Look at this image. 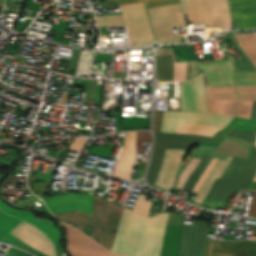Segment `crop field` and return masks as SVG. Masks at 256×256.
Listing matches in <instances>:
<instances>
[{
    "label": "crop field",
    "instance_id": "crop-field-39",
    "mask_svg": "<svg viewBox=\"0 0 256 256\" xmlns=\"http://www.w3.org/2000/svg\"><path fill=\"white\" fill-rule=\"evenodd\" d=\"M85 140L86 139L75 138V142L71 143L70 149L80 151L85 143Z\"/></svg>",
    "mask_w": 256,
    "mask_h": 256
},
{
    "label": "crop field",
    "instance_id": "crop-field-37",
    "mask_svg": "<svg viewBox=\"0 0 256 256\" xmlns=\"http://www.w3.org/2000/svg\"><path fill=\"white\" fill-rule=\"evenodd\" d=\"M96 80H88L85 99L93 100L95 97Z\"/></svg>",
    "mask_w": 256,
    "mask_h": 256
},
{
    "label": "crop field",
    "instance_id": "crop-field-1",
    "mask_svg": "<svg viewBox=\"0 0 256 256\" xmlns=\"http://www.w3.org/2000/svg\"><path fill=\"white\" fill-rule=\"evenodd\" d=\"M169 213L151 218L124 209L113 252L130 256H159Z\"/></svg>",
    "mask_w": 256,
    "mask_h": 256
},
{
    "label": "crop field",
    "instance_id": "crop-field-20",
    "mask_svg": "<svg viewBox=\"0 0 256 256\" xmlns=\"http://www.w3.org/2000/svg\"><path fill=\"white\" fill-rule=\"evenodd\" d=\"M181 90V111H197L199 110L198 100L196 96L194 81L180 82Z\"/></svg>",
    "mask_w": 256,
    "mask_h": 256
},
{
    "label": "crop field",
    "instance_id": "crop-field-24",
    "mask_svg": "<svg viewBox=\"0 0 256 256\" xmlns=\"http://www.w3.org/2000/svg\"><path fill=\"white\" fill-rule=\"evenodd\" d=\"M210 113L237 116L235 101L208 100Z\"/></svg>",
    "mask_w": 256,
    "mask_h": 256
},
{
    "label": "crop field",
    "instance_id": "crop-field-8",
    "mask_svg": "<svg viewBox=\"0 0 256 256\" xmlns=\"http://www.w3.org/2000/svg\"><path fill=\"white\" fill-rule=\"evenodd\" d=\"M247 162V160L234 157L214 192L212 191L211 197L209 196L210 198L206 203L207 206L223 207Z\"/></svg>",
    "mask_w": 256,
    "mask_h": 256
},
{
    "label": "crop field",
    "instance_id": "crop-field-2",
    "mask_svg": "<svg viewBox=\"0 0 256 256\" xmlns=\"http://www.w3.org/2000/svg\"><path fill=\"white\" fill-rule=\"evenodd\" d=\"M221 129L223 128L206 125H178L176 133H190L204 136H213L215 132ZM154 134L156 136V141L153 150L152 161L147 174V182L150 186H153L161 167L168 136V134L158 132H154ZM204 136L169 134L166 148L189 149L201 142L208 143L211 138ZM214 152L233 155L245 159L248 153L244 146L225 139H223L222 142L216 147Z\"/></svg>",
    "mask_w": 256,
    "mask_h": 256
},
{
    "label": "crop field",
    "instance_id": "crop-field-16",
    "mask_svg": "<svg viewBox=\"0 0 256 256\" xmlns=\"http://www.w3.org/2000/svg\"><path fill=\"white\" fill-rule=\"evenodd\" d=\"M201 70L206 75L208 85L234 84V70L230 59L203 64Z\"/></svg>",
    "mask_w": 256,
    "mask_h": 256
},
{
    "label": "crop field",
    "instance_id": "crop-field-43",
    "mask_svg": "<svg viewBox=\"0 0 256 256\" xmlns=\"http://www.w3.org/2000/svg\"><path fill=\"white\" fill-rule=\"evenodd\" d=\"M253 147H254V145L251 146V149H250V151H249V155H248V158H247V159H249L250 154H251V152H252V150H253Z\"/></svg>",
    "mask_w": 256,
    "mask_h": 256
},
{
    "label": "crop field",
    "instance_id": "crop-field-40",
    "mask_svg": "<svg viewBox=\"0 0 256 256\" xmlns=\"http://www.w3.org/2000/svg\"><path fill=\"white\" fill-rule=\"evenodd\" d=\"M249 216L255 217L256 216V191L254 194L251 210Z\"/></svg>",
    "mask_w": 256,
    "mask_h": 256
},
{
    "label": "crop field",
    "instance_id": "crop-field-3",
    "mask_svg": "<svg viewBox=\"0 0 256 256\" xmlns=\"http://www.w3.org/2000/svg\"><path fill=\"white\" fill-rule=\"evenodd\" d=\"M123 16L97 17L98 25L128 24L131 46L147 45L154 38L144 2L120 6Z\"/></svg>",
    "mask_w": 256,
    "mask_h": 256
},
{
    "label": "crop field",
    "instance_id": "crop-field-32",
    "mask_svg": "<svg viewBox=\"0 0 256 256\" xmlns=\"http://www.w3.org/2000/svg\"><path fill=\"white\" fill-rule=\"evenodd\" d=\"M199 161H200V159L193 158V160L186 166V168L183 170L182 174L179 176V181L177 183L176 188H178V189L182 188V186L185 183L187 177L193 171V169L197 166Z\"/></svg>",
    "mask_w": 256,
    "mask_h": 256
},
{
    "label": "crop field",
    "instance_id": "crop-field-25",
    "mask_svg": "<svg viewBox=\"0 0 256 256\" xmlns=\"http://www.w3.org/2000/svg\"><path fill=\"white\" fill-rule=\"evenodd\" d=\"M208 99L235 100L234 86L206 87Z\"/></svg>",
    "mask_w": 256,
    "mask_h": 256
},
{
    "label": "crop field",
    "instance_id": "crop-field-19",
    "mask_svg": "<svg viewBox=\"0 0 256 256\" xmlns=\"http://www.w3.org/2000/svg\"><path fill=\"white\" fill-rule=\"evenodd\" d=\"M232 158L228 157L226 161L218 160L215 167L201 186L200 190L198 191L197 195L194 198V201L199 203H203L204 199L208 195L209 191L211 190V185L215 181L216 178H221L222 174L226 170L227 166L231 162Z\"/></svg>",
    "mask_w": 256,
    "mask_h": 256
},
{
    "label": "crop field",
    "instance_id": "crop-field-28",
    "mask_svg": "<svg viewBox=\"0 0 256 256\" xmlns=\"http://www.w3.org/2000/svg\"><path fill=\"white\" fill-rule=\"evenodd\" d=\"M201 112H208L206 92L202 76L195 78Z\"/></svg>",
    "mask_w": 256,
    "mask_h": 256
},
{
    "label": "crop field",
    "instance_id": "crop-field-41",
    "mask_svg": "<svg viewBox=\"0 0 256 256\" xmlns=\"http://www.w3.org/2000/svg\"><path fill=\"white\" fill-rule=\"evenodd\" d=\"M250 118L256 119V102H253L252 114H251ZM255 141H256V130H255V134H254V138H253V142L252 143L255 144Z\"/></svg>",
    "mask_w": 256,
    "mask_h": 256
},
{
    "label": "crop field",
    "instance_id": "crop-field-6",
    "mask_svg": "<svg viewBox=\"0 0 256 256\" xmlns=\"http://www.w3.org/2000/svg\"><path fill=\"white\" fill-rule=\"evenodd\" d=\"M208 222L194 220L193 225L183 224L177 256H205Z\"/></svg>",
    "mask_w": 256,
    "mask_h": 256
},
{
    "label": "crop field",
    "instance_id": "crop-field-31",
    "mask_svg": "<svg viewBox=\"0 0 256 256\" xmlns=\"http://www.w3.org/2000/svg\"><path fill=\"white\" fill-rule=\"evenodd\" d=\"M149 191V190H148ZM146 195H140L132 211L148 216L151 201H147Z\"/></svg>",
    "mask_w": 256,
    "mask_h": 256
},
{
    "label": "crop field",
    "instance_id": "crop-field-29",
    "mask_svg": "<svg viewBox=\"0 0 256 256\" xmlns=\"http://www.w3.org/2000/svg\"><path fill=\"white\" fill-rule=\"evenodd\" d=\"M119 5L132 3V2H139L145 1L147 8L159 5H167V4H176L181 3L180 0H116Z\"/></svg>",
    "mask_w": 256,
    "mask_h": 256
},
{
    "label": "crop field",
    "instance_id": "crop-field-15",
    "mask_svg": "<svg viewBox=\"0 0 256 256\" xmlns=\"http://www.w3.org/2000/svg\"><path fill=\"white\" fill-rule=\"evenodd\" d=\"M236 29L256 27V0H227Z\"/></svg>",
    "mask_w": 256,
    "mask_h": 256
},
{
    "label": "crop field",
    "instance_id": "crop-field-26",
    "mask_svg": "<svg viewBox=\"0 0 256 256\" xmlns=\"http://www.w3.org/2000/svg\"><path fill=\"white\" fill-rule=\"evenodd\" d=\"M211 158L204 157L200 163V165L194 170L193 174L189 178V180L184 185V189L192 191L194 185L201 177L203 171L205 170L206 166L208 165Z\"/></svg>",
    "mask_w": 256,
    "mask_h": 256
},
{
    "label": "crop field",
    "instance_id": "crop-field-13",
    "mask_svg": "<svg viewBox=\"0 0 256 256\" xmlns=\"http://www.w3.org/2000/svg\"><path fill=\"white\" fill-rule=\"evenodd\" d=\"M9 234L49 256H56L54 247L48 237L24 221Z\"/></svg>",
    "mask_w": 256,
    "mask_h": 256
},
{
    "label": "crop field",
    "instance_id": "crop-field-27",
    "mask_svg": "<svg viewBox=\"0 0 256 256\" xmlns=\"http://www.w3.org/2000/svg\"><path fill=\"white\" fill-rule=\"evenodd\" d=\"M237 100L255 101L256 85L254 86H236Z\"/></svg>",
    "mask_w": 256,
    "mask_h": 256
},
{
    "label": "crop field",
    "instance_id": "crop-field-45",
    "mask_svg": "<svg viewBox=\"0 0 256 256\" xmlns=\"http://www.w3.org/2000/svg\"><path fill=\"white\" fill-rule=\"evenodd\" d=\"M254 180H256V176H255Z\"/></svg>",
    "mask_w": 256,
    "mask_h": 256
},
{
    "label": "crop field",
    "instance_id": "crop-field-22",
    "mask_svg": "<svg viewBox=\"0 0 256 256\" xmlns=\"http://www.w3.org/2000/svg\"><path fill=\"white\" fill-rule=\"evenodd\" d=\"M255 174H256V146L254 147L252 156H251L245 170L243 171L241 177L239 178L238 182L236 183L234 189L248 190Z\"/></svg>",
    "mask_w": 256,
    "mask_h": 256
},
{
    "label": "crop field",
    "instance_id": "crop-field-7",
    "mask_svg": "<svg viewBox=\"0 0 256 256\" xmlns=\"http://www.w3.org/2000/svg\"><path fill=\"white\" fill-rule=\"evenodd\" d=\"M232 118L231 116L197 112L165 111L161 131L175 133L177 124H206L226 127Z\"/></svg>",
    "mask_w": 256,
    "mask_h": 256
},
{
    "label": "crop field",
    "instance_id": "crop-field-12",
    "mask_svg": "<svg viewBox=\"0 0 256 256\" xmlns=\"http://www.w3.org/2000/svg\"><path fill=\"white\" fill-rule=\"evenodd\" d=\"M206 256H256V243L207 240Z\"/></svg>",
    "mask_w": 256,
    "mask_h": 256
},
{
    "label": "crop field",
    "instance_id": "crop-field-10",
    "mask_svg": "<svg viewBox=\"0 0 256 256\" xmlns=\"http://www.w3.org/2000/svg\"><path fill=\"white\" fill-rule=\"evenodd\" d=\"M42 199L52 213L79 210L92 215V195L63 193L58 196L45 197Z\"/></svg>",
    "mask_w": 256,
    "mask_h": 256
},
{
    "label": "crop field",
    "instance_id": "crop-field-34",
    "mask_svg": "<svg viewBox=\"0 0 256 256\" xmlns=\"http://www.w3.org/2000/svg\"><path fill=\"white\" fill-rule=\"evenodd\" d=\"M253 134L254 133H251V132H245V131H238V130L229 129L224 134H222V136L233 137V138H237V139H241V140H245V141L251 142Z\"/></svg>",
    "mask_w": 256,
    "mask_h": 256
},
{
    "label": "crop field",
    "instance_id": "crop-field-35",
    "mask_svg": "<svg viewBox=\"0 0 256 256\" xmlns=\"http://www.w3.org/2000/svg\"><path fill=\"white\" fill-rule=\"evenodd\" d=\"M144 142H151V135L148 131H138L137 150L142 152Z\"/></svg>",
    "mask_w": 256,
    "mask_h": 256
},
{
    "label": "crop field",
    "instance_id": "crop-field-14",
    "mask_svg": "<svg viewBox=\"0 0 256 256\" xmlns=\"http://www.w3.org/2000/svg\"><path fill=\"white\" fill-rule=\"evenodd\" d=\"M0 208L8 214L14 215L22 220H25L33 225H35L37 228H39L42 232H44L52 241L55 250L57 252V248L59 246L61 234L60 232L55 228V226L51 223V221L46 219H37L34 217V215L26 210H18L14 209L8 204L4 203L0 200Z\"/></svg>",
    "mask_w": 256,
    "mask_h": 256
},
{
    "label": "crop field",
    "instance_id": "crop-field-4",
    "mask_svg": "<svg viewBox=\"0 0 256 256\" xmlns=\"http://www.w3.org/2000/svg\"><path fill=\"white\" fill-rule=\"evenodd\" d=\"M188 21L206 22V33L229 30L230 13L226 0H181Z\"/></svg>",
    "mask_w": 256,
    "mask_h": 256
},
{
    "label": "crop field",
    "instance_id": "crop-field-17",
    "mask_svg": "<svg viewBox=\"0 0 256 256\" xmlns=\"http://www.w3.org/2000/svg\"><path fill=\"white\" fill-rule=\"evenodd\" d=\"M185 151L183 150H166L163 164L156 181V185L171 188L176 172L178 169L179 162Z\"/></svg>",
    "mask_w": 256,
    "mask_h": 256
},
{
    "label": "crop field",
    "instance_id": "crop-field-38",
    "mask_svg": "<svg viewBox=\"0 0 256 256\" xmlns=\"http://www.w3.org/2000/svg\"><path fill=\"white\" fill-rule=\"evenodd\" d=\"M217 160L218 159H216V158L212 159L211 163L209 164V166L206 168L205 172L203 173L201 179L199 180V182L197 183V185L193 189L194 192L198 191V189L200 188L201 184L203 183V181L205 180V178L207 177V175L209 174V172L211 171V169L213 168V166L215 165Z\"/></svg>",
    "mask_w": 256,
    "mask_h": 256
},
{
    "label": "crop field",
    "instance_id": "crop-field-9",
    "mask_svg": "<svg viewBox=\"0 0 256 256\" xmlns=\"http://www.w3.org/2000/svg\"><path fill=\"white\" fill-rule=\"evenodd\" d=\"M180 80L197 76L200 72L197 61L176 63ZM173 55L157 57V75L159 81H179Z\"/></svg>",
    "mask_w": 256,
    "mask_h": 256
},
{
    "label": "crop field",
    "instance_id": "crop-field-42",
    "mask_svg": "<svg viewBox=\"0 0 256 256\" xmlns=\"http://www.w3.org/2000/svg\"><path fill=\"white\" fill-rule=\"evenodd\" d=\"M8 152H9V153H12L13 155L11 156V158H10L9 160L4 159V158H0V163H1V164L9 165V164L12 163L13 158H14V156H15V153H13L11 150H8Z\"/></svg>",
    "mask_w": 256,
    "mask_h": 256
},
{
    "label": "crop field",
    "instance_id": "crop-field-18",
    "mask_svg": "<svg viewBox=\"0 0 256 256\" xmlns=\"http://www.w3.org/2000/svg\"><path fill=\"white\" fill-rule=\"evenodd\" d=\"M135 136L136 131L127 133L125 146L113 175L129 179L136 155Z\"/></svg>",
    "mask_w": 256,
    "mask_h": 256
},
{
    "label": "crop field",
    "instance_id": "crop-field-5",
    "mask_svg": "<svg viewBox=\"0 0 256 256\" xmlns=\"http://www.w3.org/2000/svg\"><path fill=\"white\" fill-rule=\"evenodd\" d=\"M156 40L159 42H180V32H173V26H184L181 4L147 9Z\"/></svg>",
    "mask_w": 256,
    "mask_h": 256
},
{
    "label": "crop field",
    "instance_id": "crop-field-36",
    "mask_svg": "<svg viewBox=\"0 0 256 256\" xmlns=\"http://www.w3.org/2000/svg\"><path fill=\"white\" fill-rule=\"evenodd\" d=\"M237 105L239 116L249 118L252 102L237 101Z\"/></svg>",
    "mask_w": 256,
    "mask_h": 256
},
{
    "label": "crop field",
    "instance_id": "crop-field-11",
    "mask_svg": "<svg viewBox=\"0 0 256 256\" xmlns=\"http://www.w3.org/2000/svg\"><path fill=\"white\" fill-rule=\"evenodd\" d=\"M61 225L64 227L67 234L66 244L106 250L105 248L101 247L98 243H96L94 240L86 237L76 229L64 223H61ZM69 245H66V246L71 256H123V255L115 254L112 252H106L107 250L100 251V250L87 249V248H81V247H75V246H69Z\"/></svg>",
    "mask_w": 256,
    "mask_h": 256
},
{
    "label": "crop field",
    "instance_id": "crop-field-21",
    "mask_svg": "<svg viewBox=\"0 0 256 256\" xmlns=\"http://www.w3.org/2000/svg\"><path fill=\"white\" fill-rule=\"evenodd\" d=\"M22 220L9 216L0 210V241L9 243L17 238L8 233L13 230Z\"/></svg>",
    "mask_w": 256,
    "mask_h": 256
},
{
    "label": "crop field",
    "instance_id": "crop-field-30",
    "mask_svg": "<svg viewBox=\"0 0 256 256\" xmlns=\"http://www.w3.org/2000/svg\"><path fill=\"white\" fill-rule=\"evenodd\" d=\"M236 84H256V72H236Z\"/></svg>",
    "mask_w": 256,
    "mask_h": 256
},
{
    "label": "crop field",
    "instance_id": "crop-field-23",
    "mask_svg": "<svg viewBox=\"0 0 256 256\" xmlns=\"http://www.w3.org/2000/svg\"><path fill=\"white\" fill-rule=\"evenodd\" d=\"M233 35L235 36L238 44L241 46V48L244 50V52L247 54L249 59L256 67V37L254 36V34L251 33Z\"/></svg>",
    "mask_w": 256,
    "mask_h": 256
},
{
    "label": "crop field",
    "instance_id": "crop-field-33",
    "mask_svg": "<svg viewBox=\"0 0 256 256\" xmlns=\"http://www.w3.org/2000/svg\"><path fill=\"white\" fill-rule=\"evenodd\" d=\"M256 120L239 118L231 128L254 132Z\"/></svg>",
    "mask_w": 256,
    "mask_h": 256
},
{
    "label": "crop field",
    "instance_id": "crop-field-44",
    "mask_svg": "<svg viewBox=\"0 0 256 256\" xmlns=\"http://www.w3.org/2000/svg\"><path fill=\"white\" fill-rule=\"evenodd\" d=\"M0 6L3 7V0H0Z\"/></svg>",
    "mask_w": 256,
    "mask_h": 256
}]
</instances>
